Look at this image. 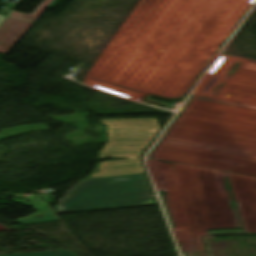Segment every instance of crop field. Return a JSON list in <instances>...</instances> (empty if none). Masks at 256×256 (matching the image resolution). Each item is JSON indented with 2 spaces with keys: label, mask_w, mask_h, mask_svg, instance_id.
I'll return each mask as SVG.
<instances>
[{
  "label": "crop field",
  "mask_w": 256,
  "mask_h": 256,
  "mask_svg": "<svg viewBox=\"0 0 256 256\" xmlns=\"http://www.w3.org/2000/svg\"><path fill=\"white\" fill-rule=\"evenodd\" d=\"M56 214L156 205L144 174L86 179L57 204Z\"/></svg>",
  "instance_id": "crop-field-1"
},
{
  "label": "crop field",
  "mask_w": 256,
  "mask_h": 256,
  "mask_svg": "<svg viewBox=\"0 0 256 256\" xmlns=\"http://www.w3.org/2000/svg\"><path fill=\"white\" fill-rule=\"evenodd\" d=\"M109 124L111 138L105 158L129 160L103 162L100 171L91 178L144 173L139 156L159 131L156 120H109Z\"/></svg>",
  "instance_id": "crop-field-2"
},
{
  "label": "crop field",
  "mask_w": 256,
  "mask_h": 256,
  "mask_svg": "<svg viewBox=\"0 0 256 256\" xmlns=\"http://www.w3.org/2000/svg\"><path fill=\"white\" fill-rule=\"evenodd\" d=\"M38 18L39 17L13 11L0 27V53L7 54Z\"/></svg>",
  "instance_id": "crop-field-3"
},
{
  "label": "crop field",
  "mask_w": 256,
  "mask_h": 256,
  "mask_svg": "<svg viewBox=\"0 0 256 256\" xmlns=\"http://www.w3.org/2000/svg\"><path fill=\"white\" fill-rule=\"evenodd\" d=\"M53 212H51L47 207L38 210V212L32 214L27 218L17 220L21 225H30V224H40L48 222H56Z\"/></svg>",
  "instance_id": "crop-field-4"
},
{
  "label": "crop field",
  "mask_w": 256,
  "mask_h": 256,
  "mask_svg": "<svg viewBox=\"0 0 256 256\" xmlns=\"http://www.w3.org/2000/svg\"><path fill=\"white\" fill-rule=\"evenodd\" d=\"M10 256H75V255H73L68 251H60V252L22 254V255H10Z\"/></svg>",
  "instance_id": "crop-field-5"
},
{
  "label": "crop field",
  "mask_w": 256,
  "mask_h": 256,
  "mask_svg": "<svg viewBox=\"0 0 256 256\" xmlns=\"http://www.w3.org/2000/svg\"><path fill=\"white\" fill-rule=\"evenodd\" d=\"M53 2L54 0H47L45 4L35 12L34 15L41 16Z\"/></svg>",
  "instance_id": "crop-field-6"
},
{
  "label": "crop field",
  "mask_w": 256,
  "mask_h": 256,
  "mask_svg": "<svg viewBox=\"0 0 256 256\" xmlns=\"http://www.w3.org/2000/svg\"><path fill=\"white\" fill-rule=\"evenodd\" d=\"M4 19H5L4 17H0V23H1Z\"/></svg>",
  "instance_id": "crop-field-7"
}]
</instances>
